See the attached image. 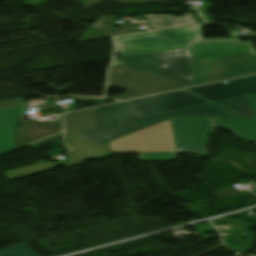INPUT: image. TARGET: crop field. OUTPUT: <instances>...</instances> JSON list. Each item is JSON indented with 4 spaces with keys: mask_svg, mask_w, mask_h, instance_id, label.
<instances>
[{
    "mask_svg": "<svg viewBox=\"0 0 256 256\" xmlns=\"http://www.w3.org/2000/svg\"><path fill=\"white\" fill-rule=\"evenodd\" d=\"M0 256H38L26 245L0 251Z\"/></svg>",
    "mask_w": 256,
    "mask_h": 256,
    "instance_id": "14",
    "label": "crop field"
},
{
    "mask_svg": "<svg viewBox=\"0 0 256 256\" xmlns=\"http://www.w3.org/2000/svg\"><path fill=\"white\" fill-rule=\"evenodd\" d=\"M176 157V153H139V159L147 161L170 160Z\"/></svg>",
    "mask_w": 256,
    "mask_h": 256,
    "instance_id": "15",
    "label": "crop field"
},
{
    "mask_svg": "<svg viewBox=\"0 0 256 256\" xmlns=\"http://www.w3.org/2000/svg\"><path fill=\"white\" fill-rule=\"evenodd\" d=\"M25 106L0 110V154L17 148L13 142L16 124Z\"/></svg>",
    "mask_w": 256,
    "mask_h": 256,
    "instance_id": "9",
    "label": "crop field"
},
{
    "mask_svg": "<svg viewBox=\"0 0 256 256\" xmlns=\"http://www.w3.org/2000/svg\"><path fill=\"white\" fill-rule=\"evenodd\" d=\"M121 67L118 63V59H115L111 68Z\"/></svg>",
    "mask_w": 256,
    "mask_h": 256,
    "instance_id": "18",
    "label": "crop field"
},
{
    "mask_svg": "<svg viewBox=\"0 0 256 256\" xmlns=\"http://www.w3.org/2000/svg\"><path fill=\"white\" fill-rule=\"evenodd\" d=\"M187 90L211 102L251 95L256 93V75Z\"/></svg>",
    "mask_w": 256,
    "mask_h": 256,
    "instance_id": "8",
    "label": "crop field"
},
{
    "mask_svg": "<svg viewBox=\"0 0 256 256\" xmlns=\"http://www.w3.org/2000/svg\"><path fill=\"white\" fill-rule=\"evenodd\" d=\"M241 119L253 120L247 97L215 102Z\"/></svg>",
    "mask_w": 256,
    "mask_h": 256,
    "instance_id": "13",
    "label": "crop field"
},
{
    "mask_svg": "<svg viewBox=\"0 0 256 256\" xmlns=\"http://www.w3.org/2000/svg\"><path fill=\"white\" fill-rule=\"evenodd\" d=\"M65 142L75 152L69 153L71 159L49 164L47 161L37 163L34 165L26 166L23 168L15 169L12 171L4 172V174L10 179H18L25 176L40 173L46 170H50L53 167L64 165L67 168L83 163L82 161L89 158L101 159L111 155L109 144L102 145L100 147L87 141L86 139L74 135L65 138ZM68 155V154H67Z\"/></svg>",
    "mask_w": 256,
    "mask_h": 256,
    "instance_id": "6",
    "label": "crop field"
},
{
    "mask_svg": "<svg viewBox=\"0 0 256 256\" xmlns=\"http://www.w3.org/2000/svg\"><path fill=\"white\" fill-rule=\"evenodd\" d=\"M249 103H250V107L253 113V117L256 120V94L255 95H251V96H247Z\"/></svg>",
    "mask_w": 256,
    "mask_h": 256,
    "instance_id": "17",
    "label": "crop field"
},
{
    "mask_svg": "<svg viewBox=\"0 0 256 256\" xmlns=\"http://www.w3.org/2000/svg\"><path fill=\"white\" fill-rule=\"evenodd\" d=\"M122 66L194 86L195 66L188 49L120 58Z\"/></svg>",
    "mask_w": 256,
    "mask_h": 256,
    "instance_id": "4",
    "label": "crop field"
},
{
    "mask_svg": "<svg viewBox=\"0 0 256 256\" xmlns=\"http://www.w3.org/2000/svg\"><path fill=\"white\" fill-rule=\"evenodd\" d=\"M44 103H46V102L45 101L36 102L37 105L44 104Z\"/></svg>",
    "mask_w": 256,
    "mask_h": 256,
    "instance_id": "19",
    "label": "crop field"
},
{
    "mask_svg": "<svg viewBox=\"0 0 256 256\" xmlns=\"http://www.w3.org/2000/svg\"><path fill=\"white\" fill-rule=\"evenodd\" d=\"M145 16L152 30L167 28V27L196 24V21L193 18L192 14H183V17H180V18H176L173 16H166V15H158V16L145 15Z\"/></svg>",
    "mask_w": 256,
    "mask_h": 256,
    "instance_id": "12",
    "label": "crop field"
},
{
    "mask_svg": "<svg viewBox=\"0 0 256 256\" xmlns=\"http://www.w3.org/2000/svg\"><path fill=\"white\" fill-rule=\"evenodd\" d=\"M109 83L128 90L127 94L115 97L116 100H127L188 86L126 67L111 69Z\"/></svg>",
    "mask_w": 256,
    "mask_h": 256,
    "instance_id": "5",
    "label": "crop field"
},
{
    "mask_svg": "<svg viewBox=\"0 0 256 256\" xmlns=\"http://www.w3.org/2000/svg\"><path fill=\"white\" fill-rule=\"evenodd\" d=\"M22 99L23 98L0 102V108L25 104V102H23Z\"/></svg>",
    "mask_w": 256,
    "mask_h": 256,
    "instance_id": "16",
    "label": "crop field"
},
{
    "mask_svg": "<svg viewBox=\"0 0 256 256\" xmlns=\"http://www.w3.org/2000/svg\"><path fill=\"white\" fill-rule=\"evenodd\" d=\"M183 116L237 118L212 103L138 118L128 102H125L96 108L95 128L78 135L99 145L165 119Z\"/></svg>",
    "mask_w": 256,
    "mask_h": 256,
    "instance_id": "2",
    "label": "crop field"
},
{
    "mask_svg": "<svg viewBox=\"0 0 256 256\" xmlns=\"http://www.w3.org/2000/svg\"><path fill=\"white\" fill-rule=\"evenodd\" d=\"M94 109L65 115L66 136L94 128Z\"/></svg>",
    "mask_w": 256,
    "mask_h": 256,
    "instance_id": "11",
    "label": "crop field"
},
{
    "mask_svg": "<svg viewBox=\"0 0 256 256\" xmlns=\"http://www.w3.org/2000/svg\"><path fill=\"white\" fill-rule=\"evenodd\" d=\"M128 102L138 117L209 103L184 90Z\"/></svg>",
    "mask_w": 256,
    "mask_h": 256,
    "instance_id": "7",
    "label": "crop field"
},
{
    "mask_svg": "<svg viewBox=\"0 0 256 256\" xmlns=\"http://www.w3.org/2000/svg\"><path fill=\"white\" fill-rule=\"evenodd\" d=\"M120 57L189 48L195 85L256 73V49L240 39L204 40L201 25L114 38Z\"/></svg>",
    "mask_w": 256,
    "mask_h": 256,
    "instance_id": "1",
    "label": "crop field"
},
{
    "mask_svg": "<svg viewBox=\"0 0 256 256\" xmlns=\"http://www.w3.org/2000/svg\"><path fill=\"white\" fill-rule=\"evenodd\" d=\"M177 151L195 152L207 155L205 144L208 143V132L213 127L222 126L236 134L256 143L255 121H231L209 118L172 119Z\"/></svg>",
    "mask_w": 256,
    "mask_h": 256,
    "instance_id": "3",
    "label": "crop field"
},
{
    "mask_svg": "<svg viewBox=\"0 0 256 256\" xmlns=\"http://www.w3.org/2000/svg\"><path fill=\"white\" fill-rule=\"evenodd\" d=\"M114 24V16H103L92 24L81 40L142 32L136 23L122 25L123 30L114 28Z\"/></svg>",
    "mask_w": 256,
    "mask_h": 256,
    "instance_id": "10",
    "label": "crop field"
}]
</instances>
